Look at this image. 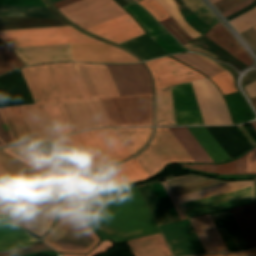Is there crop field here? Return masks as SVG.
<instances>
[{
	"instance_id": "crop-field-6",
	"label": "crop field",
	"mask_w": 256,
	"mask_h": 256,
	"mask_svg": "<svg viewBox=\"0 0 256 256\" xmlns=\"http://www.w3.org/2000/svg\"><path fill=\"white\" fill-rule=\"evenodd\" d=\"M232 158L251 148L234 127H206ZM205 127L188 128L214 163L232 159Z\"/></svg>"
},
{
	"instance_id": "crop-field-20",
	"label": "crop field",
	"mask_w": 256,
	"mask_h": 256,
	"mask_svg": "<svg viewBox=\"0 0 256 256\" xmlns=\"http://www.w3.org/2000/svg\"><path fill=\"white\" fill-rule=\"evenodd\" d=\"M87 30L117 44L144 34L143 30L128 14Z\"/></svg>"
},
{
	"instance_id": "crop-field-58",
	"label": "crop field",
	"mask_w": 256,
	"mask_h": 256,
	"mask_svg": "<svg viewBox=\"0 0 256 256\" xmlns=\"http://www.w3.org/2000/svg\"><path fill=\"white\" fill-rule=\"evenodd\" d=\"M162 184H163V186H164V188H165V190H166V192H167V194H168L170 200L172 201V203H173V205H174V207H175V209H176V211H177V213H178L180 219H184L185 216H184V214H183V212H182L180 206L178 205V203H177L175 197L173 196V194H172V192H171V190H170V188H169V186H168L166 180L162 181Z\"/></svg>"
},
{
	"instance_id": "crop-field-17",
	"label": "crop field",
	"mask_w": 256,
	"mask_h": 256,
	"mask_svg": "<svg viewBox=\"0 0 256 256\" xmlns=\"http://www.w3.org/2000/svg\"><path fill=\"white\" fill-rule=\"evenodd\" d=\"M174 256L205 252L189 219L160 227Z\"/></svg>"
},
{
	"instance_id": "crop-field-28",
	"label": "crop field",
	"mask_w": 256,
	"mask_h": 256,
	"mask_svg": "<svg viewBox=\"0 0 256 256\" xmlns=\"http://www.w3.org/2000/svg\"><path fill=\"white\" fill-rule=\"evenodd\" d=\"M249 248L256 246V206L255 204L230 210Z\"/></svg>"
},
{
	"instance_id": "crop-field-2",
	"label": "crop field",
	"mask_w": 256,
	"mask_h": 256,
	"mask_svg": "<svg viewBox=\"0 0 256 256\" xmlns=\"http://www.w3.org/2000/svg\"><path fill=\"white\" fill-rule=\"evenodd\" d=\"M114 187L103 170L92 172L75 182L65 194L57 225L43 241L57 252L86 254L99 238L74 211L75 203L90 194Z\"/></svg>"
},
{
	"instance_id": "crop-field-63",
	"label": "crop field",
	"mask_w": 256,
	"mask_h": 256,
	"mask_svg": "<svg viewBox=\"0 0 256 256\" xmlns=\"http://www.w3.org/2000/svg\"><path fill=\"white\" fill-rule=\"evenodd\" d=\"M244 89L251 94L249 95L250 99L256 97V81L244 86Z\"/></svg>"
},
{
	"instance_id": "crop-field-12",
	"label": "crop field",
	"mask_w": 256,
	"mask_h": 256,
	"mask_svg": "<svg viewBox=\"0 0 256 256\" xmlns=\"http://www.w3.org/2000/svg\"><path fill=\"white\" fill-rule=\"evenodd\" d=\"M205 125L232 124L225 103L207 79L191 82Z\"/></svg>"
},
{
	"instance_id": "crop-field-7",
	"label": "crop field",
	"mask_w": 256,
	"mask_h": 256,
	"mask_svg": "<svg viewBox=\"0 0 256 256\" xmlns=\"http://www.w3.org/2000/svg\"><path fill=\"white\" fill-rule=\"evenodd\" d=\"M135 159L149 177L159 172L166 164L194 163L168 128H157L152 144Z\"/></svg>"
},
{
	"instance_id": "crop-field-29",
	"label": "crop field",
	"mask_w": 256,
	"mask_h": 256,
	"mask_svg": "<svg viewBox=\"0 0 256 256\" xmlns=\"http://www.w3.org/2000/svg\"><path fill=\"white\" fill-rule=\"evenodd\" d=\"M104 171L115 186L148 178L135 159L121 165L106 168Z\"/></svg>"
},
{
	"instance_id": "crop-field-33",
	"label": "crop field",
	"mask_w": 256,
	"mask_h": 256,
	"mask_svg": "<svg viewBox=\"0 0 256 256\" xmlns=\"http://www.w3.org/2000/svg\"><path fill=\"white\" fill-rule=\"evenodd\" d=\"M152 128H120L114 129L131 155L140 150L148 141Z\"/></svg>"
},
{
	"instance_id": "crop-field-66",
	"label": "crop field",
	"mask_w": 256,
	"mask_h": 256,
	"mask_svg": "<svg viewBox=\"0 0 256 256\" xmlns=\"http://www.w3.org/2000/svg\"><path fill=\"white\" fill-rule=\"evenodd\" d=\"M237 174H245L244 156L237 160Z\"/></svg>"
},
{
	"instance_id": "crop-field-53",
	"label": "crop field",
	"mask_w": 256,
	"mask_h": 256,
	"mask_svg": "<svg viewBox=\"0 0 256 256\" xmlns=\"http://www.w3.org/2000/svg\"><path fill=\"white\" fill-rule=\"evenodd\" d=\"M41 251H54L53 249L49 248L48 246L39 243L35 246H32L30 248L21 250V251H16V252H9V253H3L0 254V256H22L28 253H32V252H41Z\"/></svg>"
},
{
	"instance_id": "crop-field-9",
	"label": "crop field",
	"mask_w": 256,
	"mask_h": 256,
	"mask_svg": "<svg viewBox=\"0 0 256 256\" xmlns=\"http://www.w3.org/2000/svg\"><path fill=\"white\" fill-rule=\"evenodd\" d=\"M102 167L130 155L113 129H100L73 135Z\"/></svg>"
},
{
	"instance_id": "crop-field-70",
	"label": "crop field",
	"mask_w": 256,
	"mask_h": 256,
	"mask_svg": "<svg viewBox=\"0 0 256 256\" xmlns=\"http://www.w3.org/2000/svg\"><path fill=\"white\" fill-rule=\"evenodd\" d=\"M252 103L254 104L255 108H256V98L252 99Z\"/></svg>"
},
{
	"instance_id": "crop-field-75",
	"label": "crop field",
	"mask_w": 256,
	"mask_h": 256,
	"mask_svg": "<svg viewBox=\"0 0 256 256\" xmlns=\"http://www.w3.org/2000/svg\"><path fill=\"white\" fill-rule=\"evenodd\" d=\"M2 45H4V44H3L2 41L0 40V46H2Z\"/></svg>"
},
{
	"instance_id": "crop-field-43",
	"label": "crop field",
	"mask_w": 256,
	"mask_h": 256,
	"mask_svg": "<svg viewBox=\"0 0 256 256\" xmlns=\"http://www.w3.org/2000/svg\"><path fill=\"white\" fill-rule=\"evenodd\" d=\"M24 66L6 47H0V74Z\"/></svg>"
},
{
	"instance_id": "crop-field-74",
	"label": "crop field",
	"mask_w": 256,
	"mask_h": 256,
	"mask_svg": "<svg viewBox=\"0 0 256 256\" xmlns=\"http://www.w3.org/2000/svg\"><path fill=\"white\" fill-rule=\"evenodd\" d=\"M129 4L134 2L133 0H126Z\"/></svg>"
},
{
	"instance_id": "crop-field-80",
	"label": "crop field",
	"mask_w": 256,
	"mask_h": 256,
	"mask_svg": "<svg viewBox=\"0 0 256 256\" xmlns=\"http://www.w3.org/2000/svg\"><path fill=\"white\" fill-rule=\"evenodd\" d=\"M135 1H137V0H135Z\"/></svg>"
},
{
	"instance_id": "crop-field-61",
	"label": "crop field",
	"mask_w": 256,
	"mask_h": 256,
	"mask_svg": "<svg viewBox=\"0 0 256 256\" xmlns=\"http://www.w3.org/2000/svg\"><path fill=\"white\" fill-rule=\"evenodd\" d=\"M253 1H255V0H246L245 2H243V3H241V4L237 5V6H235L234 8H232V9H230V10H228V11L222 13V14H223V16H224V18H225V17H227V16L233 14L234 12L240 10L241 8H243V7L247 6V5H249V4L252 3Z\"/></svg>"
},
{
	"instance_id": "crop-field-22",
	"label": "crop field",
	"mask_w": 256,
	"mask_h": 256,
	"mask_svg": "<svg viewBox=\"0 0 256 256\" xmlns=\"http://www.w3.org/2000/svg\"><path fill=\"white\" fill-rule=\"evenodd\" d=\"M27 66L50 61H72L70 45L11 49Z\"/></svg>"
},
{
	"instance_id": "crop-field-35",
	"label": "crop field",
	"mask_w": 256,
	"mask_h": 256,
	"mask_svg": "<svg viewBox=\"0 0 256 256\" xmlns=\"http://www.w3.org/2000/svg\"><path fill=\"white\" fill-rule=\"evenodd\" d=\"M172 56L177 60L199 70L209 79L225 71L215 62L197 54H176Z\"/></svg>"
},
{
	"instance_id": "crop-field-54",
	"label": "crop field",
	"mask_w": 256,
	"mask_h": 256,
	"mask_svg": "<svg viewBox=\"0 0 256 256\" xmlns=\"http://www.w3.org/2000/svg\"><path fill=\"white\" fill-rule=\"evenodd\" d=\"M246 174H256V149L245 155Z\"/></svg>"
},
{
	"instance_id": "crop-field-76",
	"label": "crop field",
	"mask_w": 256,
	"mask_h": 256,
	"mask_svg": "<svg viewBox=\"0 0 256 256\" xmlns=\"http://www.w3.org/2000/svg\"><path fill=\"white\" fill-rule=\"evenodd\" d=\"M255 193H256V182H255Z\"/></svg>"
},
{
	"instance_id": "crop-field-78",
	"label": "crop field",
	"mask_w": 256,
	"mask_h": 256,
	"mask_svg": "<svg viewBox=\"0 0 256 256\" xmlns=\"http://www.w3.org/2000/svg\"><path fill=\"white\" fill-rule=\"evenodd\" d=\"M175 1V0H174ZM176 2V1H175ZM177 3V2H176ZM178 5V4H177ZM178 7H179V5H178Z\"/></svg>"
},
{
	"instance_id": "crop-field-71",
	"label": "crop field",
	"mask_w": 256,
	"mask_h": 256,
	"mask_svg": "<svg viewBox=\"0 0 256 256\" xmlns=\"http://www.w3.org/2000/svg\"><path fill=\"white\" fill-rule=\"evenodd\" d=\"M204 256H223L222 254H215V255H204Z\"/></svg>"
},
{
	"instance_id": "crop-field-52",
	"label": "crop field",
	"mask_w": 256,
	"mask_h": 256,
	"mask_svg": "<svg viewBox=\"0 0 256 256\" xmlns=\"http://www.w3.org/2000/svg\"><path fill=\"white\" fill-rule=\"evenodd\" d=\"M205 179L206 178L197 177L193 175H184V176L176 177L173 179H168L167 182L170 188H173V187H177V186H181V185H185V184H189V183H193V182H197Z\"/></svg>"
},
{
	"instance_id": "crop-field-16",
	"label": "crop field",
	"mask_w": 256,
	"mask_h": 256,
	"mask_svg": "<svg viewBox=\"0 0 256 256\" xmlns=\"http://www.w3.org/2000/svg\"><path fill=\"white\" fill-rule=\"evenodd\" d=\"M17 160L23 162L36 171L68 184L74 177L63 170L60 166L46 157L32 145L18 146L1 149Z\"/></svg>"
},
{
	"instance_id": "crop-field-8",
	"label": "crop field",
	"mask_w": 256,
	"mask_h": 256,
	"mask_svg": "<svg viewBox=\"0 0 256 256\" xmlns=\"http://www.w3.org/2000/svg\"><path fill=\"white\" fill-rule=\"evenodd\" d=\"M101 100L113 126L152 125L151 94Z\"/></svg>"
},
{
	"instance_id": "crop-field-72",
	"label": "crop field",
	"mask_w": 256,
	"mask_h": 256,
	"mask_svg": "<svg viewBox=\"0 0 256 256\" xmlns=\"http://www.w3.org/2000/svg\"><path fill=\"white\" fill-rule=\"evenodd\" d=\"M251 124H252V126L254 127V129L256 130V121L253 122V123H251Z\"/></svg>"
},
{
	"instance_id": "crop-field-10",
	"label": "crop field",
	"mask_w": 256,
	"mask_h": 256,
	"mask_svg": "<svg viewBox=\"0 0 256 256\" xmlns=\"http://www.w3.org/2000/svg\"><path fill=\"white\" fill-rule=\"evenodd\" d=\"M60 11L85 29L126 14L113 0H82Z\"/></svg>"
},
{
	"instance_id": "crop-field-4",
	"label": "crop field",
	"mask_w": 256,
	"mask_h": 256,
	"mask_svg": "<svg viewBox=\"0 0 256 256\" xmlns=\"http://www.w3.org/2000/svg\"><path fill=\"white\" fill-rule=\"evenodd\" d=\"M0 0V7L38 8L14 9L0 8V30L72 26L64 21L44 0Z\"/></svg>"
},
{
	"instance_id": "crop-field-24",
	"label": "crop field",
	"mask_w": 256,
	"mask_h": 256,
	"mask_svg": "<svg viewBox=\"0 0 256 256\" xmlns=\"http://www.w3.org/2000/svg\"><path fill=\"white\" fill-rule=\"evenodd\" d=\"M19 108L35 142L57 137L42 104Z\"/></svg>"
},
{
	"instance_id": "crop-field-46",
	"label": "crop field",
	"mask_w": 256,
	"mask_h": 256,
	"mask_svg": "<svg viewBox=\"0 0 256 256\" xmlns=\"http://www.w3.org/2000/svg\"><path fill=\"white\" fill-rule=\"evenodd\" d=\"M168 54L186 51L176 40H174L168 33L153 38ZM158 45V46H159Z\"/></svg>"
},
{
	"instance_id": "crop-field-3",
	"label": "crop field",
	"mask_w": 256,
	"mask_h": 256,
	"mask_svg": "<svg viewBox=\"0 0 256 256\" xmlns=\"http://www.w3.org/2000/svg\"><path fill=\"white\" fill-rule=\"evenodd\" d=\"M36 104L91 99L74 63L21 69Z\"/></svg>"
},
{
	"instance_id": "crop-field-37",
	"label": "crop field",
	"mask_w": 256,
	"mask_h": 256,
	"mask_svg": "<svg viewBox=\"0 0 256 256\" xmlns=\"http://www.w3.org/2000/svg\"><path fill=\"white\" fill-rule=\"evenodd\" d=\"M120 45H123L133 50L134 52L138 53L141 57H143L145 60L165 55L152 43V41L148 38L146 34L134 38L125 43H122Z\"/></svg>"
},
{
	"instance_id": "crop-field-41",
	"label": "crop field",
	"mask_w": 256,
	"mask_h": 256,
	"mask_svg": "<svg viewBox=\"0 0 256 256\" xmlns=\"http://www.w3.org/2000/svg\"><path fill=\"white\" fill-rule=\"evenodd\" d=\"M182 2L201 20L207 23L209 26H213L218 21L209 12L200 0H182Z\"/></svg>"
},
{
	"instance_id": "crop-field-38",
	"label": "crop field",
	"mask_w": 256,
	"mask_h": 256,
	"mask_svg": "<svg viewBox=\"0 0 256 256\" xmlns=\"http://www.w3.org/2000/svg\"><path fill=\"white\" fill-rule=\"evenodd\" d=\"M157 225L169 223L170 220L156 196L151 184L138 186Z\"/></svg>"
},
{
	"instance_id": "crop-field-65",
	"label": "crop field",
	"mask_w": 256,
	"mask_h": 256,
	"mask_svg": "<svg viewBox=\"0 0 256 256\" xmlns=\"http://www.w3.org/2000/svg\"><path fill=\"white\" fill-rule=\"evenodd\" d=\"M226 256H256V248L249 251H244L240 253H230L226 254Z\"/></svg>"
},
{
	"instance_id": "crop-field-39",
	"label": "crop field",
	"mask_w": 256,
	"mask_h": 256,
	"mask_svg": "<svg viewBox=\"0 0 256 256\" xmlns=\"http://www.w3.org/2000/svg\"><path fill=\"white\" fill-rule=\"evenodd\" d=\"M51 120L57 136H63L72 133V129L64 114L60 103L43 104Z\"/></svg>"
},
{
	"instance_id": "crop-field-64",
	"label": "crop field",
	"mask_w": 256,
	"mask_h": 256,
	"mask_svg": "<svg viewBox=\"0 0 256 256\" xmlns=\"http://www.w3.org/2000/svg\"><path fill=\"white\" fill-rule=\"evenodd\" d=\"M11 197L12 196L9 194V192L0 183V201L2 202V204Z\"/></svg>"
},
{
	"instance_id": "crop-field-69",
	"label": "crop field",
	"mask_w": 256,
	"mask_h": 256,
	"mask_svg": "<svg viewBox=\"0 0 256 256\" xmlns=\"http://www.w3.org/2000/svg\"><path fill=\"white\" fill-rule=\"evenodd\" d=\"M0 214H6V212L3 210V208L0 205Z\"/></svg>"
},
{
	"instance_id": "crop-field-26",
	"label": "crop field",
	"mask_w": 256,
	"mask_h": 256,
	"mask_svg": "<svg viewBox=\"0 0 256 256\" xmlns=\"http://www.w3.org/2000/svg\"><path fill=\"white\" fill-rule=\"evenodd\" d=\"M190 221L206 252L228 251L210 214L191 218Z\"/></svg>"
},
{
	"instance_id": "crop-field-23",
	"label": "crop field",
	"mask_w": 256,
	"mask_h": 256,
	"mask_svg": "<svg viewBox=\"0 0 256 256\" xmlns=\"http://www.w3.org/2000/svg\"><path fill=\"white\" fill-rule=\"evenodd\" d=\"M52 143L79 174L100 167L72 135Z\"/></svg>"
},
{
	"instance_id": "crop-field-27",
	"label": "crop field",
	"mask_w": 256,
	"mask_h": 256,
	"mask_svg": "<svg viewBox=\"0 0 256 256\" xmlns=\"http://www.w3.org/2000/svg\"><path fill=\"white\" fill-rule=\"evenodd\" d=\"M205 36L243 62L245 65L248 66L252 64L250 56L220 23L212 27Z\"/></svg>"
},
{
	"instance_id": "crop-field-15",
	"label": "crop field",
	"mask_w": 256,
	"mask_h": 256,
	"mask_svg": "<svg viewBox=\"0 0 256 256\" xmlns=\"http://www.w3.org/2000/svg\"><path fill=\"white\" fill-rule=\"evenodd\" d=\"M144 63L154 77L155 89L205 78L198 72L169 57Z\"/></svg>"
},
{
	"instance_id": "crop-field-18",
	"label": "crop field",
	"mask_w": 256,
	"mask_h": 256,
	"mask_svg": "<svg viewBox=\"0 0 256 256\" xmlns=\"http://www.w3.org/2000/svg\"><path fill=\"white\" fill-rule=\"evenodd\" d=\"M176 125H204L191 83L171 87Z\"/></svg>"
},
{
	"instance_id": "crop-field-21",
	"label": "crop field",
	"mask_w": 256,
	"mask_h": 256,
	"mask_svg": "<svg viewBox=\"0 0 256 256\" xmlns=\"http://www.w3.org/2000/svg\"><path fill=\"white\" fill-rule=\"evenodd\" d=\"M73 61L137 62L111 45H71Z\"/></svg>"
},
{
	"instance_id": "crop-field-79",
	"label": "crop field",
	"mask_w": 256,
	"mask_h": 256,
	"mask_svg": "<svg viewBox=\"0 0 256 256\" xmlns=\"http://www.w3.org/2000/svg\"><path fill=\"white\" fill-rule=\"evenodd\" d=\"M256 29V27H254Z\"/></svg>"
},
{
	"instance_id": "crop-field-56",
	"label": "crop field",
	"mask_w": 256,
	"mask_h": 256,
	"mask_svg": "<svg viewBox=\"0 0 256 256\" xmlns=\"http://www.w3.org/2000/svg\"><path fill=\"white\" fill-rule=\"evenodd\" d=\"M113 246L112 242L109 240H105L101 242L89 255L87 256H97L105 253ZM63 256H77V255H65L61 254Z\"/></svg>"
},
{
	"instance_id": "crop-field-49",
	"label": "crop field",
	"mask_w": 256,
	"mask_h": 256,
	"mask_svg": "<svg viewBox=\"0 0 256 256\" xmlns=\"http://www.w3.org/2000/svg\"><path fill=\"white\" fill-rule=\"evenodd\" d=\"M17 144L0 109V147Z\"/></svg>"
},
{
	"instance_id": "crop-field-50",
	"label": "crop field",
	"mask_w": 256,
	"mask_h": 256,
	"mask_svg": "<svg viewBox=\"0 0 256 256\" xmlns=\"http://www.w3.org/2000/svg\"><path fill=\"white\" fill-rule=\"evenodd\" d=\"M180 32L182 33L185 37H187L190 41L194 40L192 39L189 35H187L183 29L179 26V24L171 17L163 22L161 24L182 44L188 43V41L174 28L171 26V24Z\"/></svg>"
},
{
	"instance_id": "crop-field-13",
	"label": "crop field",
	"mask_w": 256,
	"mask_h": 256,
	"mask_svg": "<svg viewBox=\"0 0 256 256\" xmlns=\"http://www.w3.org/2000/svg\"><path fill=\"white\" fill-rule=\"evenodd\" d=\"M253 202V186L201 198L180 206L186 218Z\"/></svg>"
},
{
	"instance_id": "crop-field-19",
	"label": "crop field",
	"mask_w": 256,
	"mask_h": 256,
	"mask_svg": "<svg viewBox=\"0 0 256 256\" xmlns=\"http://www.w3.org/2000/svg\"><path fill=\"white\" fill-rule=\"evenodd\" d=\"M75 64L92 99L119 96L105 65Z\"/></svg>"
},
{
	"instance_id": "crop-field-1",
	"label": "crop field",
	"mask_w": 256,
	"mask_h": 256,
	"mask_svg": "<svg viewBox=\"0 0 256 256\" xmlns=\"http://www.w3.org/2000/svg\"><path fill=\"white\" fill-rule=\"evenodd\" d=\"M89 224L115 243L160 233L136 186H127L94 199L83 207Z\"/></svg>"
},
{
	"instance_id": "crop-field-30",
	"label": "crop field",
	"mask_w": 256,
	"mask_h": 256,
	"mask_svg": "<svg viewBox=\"0 0 256 256\" xmlns=\"http://www.w3.org/2000/svg\"><path fill=\"white\" fill-rule=\"evenodd\" d=\"M135 256H172L161 234L127 242Z\"/></svg>"
},
{
	"instance_id": "crop-field-57",
	"label": "crop field",
	"mask_w": 256,
	"mask_h": 256,
	"mask_svg": "<svg viewBox=\"0 0 256 256\" xmlns=\"http://www.w3.org/2000/svg\"><path fill=\"white\" fill-rule=\"evenodd\" d=\"M245 0H220L213 4L221 13Z\"/></svg>"
},
{
	"instance_id": "crop-field-60",
	"label": "crop field",
	"mask_w": 256,
	"mask_h": 256,
	"mask_svg": "<svg viewBox=\"0 0 256 256\" xmlns=\"http://www.w3.org/2000/svg\"><path fill=\"white\" fill-rule=\"evenodd\" d=\"M241 36L256 49V30L254 28L242 34Z\"/></svg>"
},
{
	"instance_id": "crop-field-42",
	"label": "crop field",
	"mask_w": 256,
	"mask_h": 256,
	"mask_svg": "<svg viewBox=\"0 0 256 256\" xmlns=\"http://www.w3.org/2000/svg\"><path fill=\"white\" fill-rule=\"evenodd\" d=\"M165 10L180 24V26L184 29L186 33H188L191 37L200 36V34L196 33L192 30L189 25L183 20L177 5L173 0H157Z\"/></svg>"
},
{
	"instance_id": "crop-field-34",
	"label": "crop field",
	"mask_w": 256,
	"mask_h": 256,
	"mask_svg": "<svg viewBox=\"0 0 256 256\" xmlns=\"http://www.w3.org/2000/svg\"><path fill=\"white\" fill-rule=\"evenodd\" d=\"M18 144L34 142L18 107L1 108Z\"/></svg>"
},
{
	"instance_id": "crop-field-5",
	"label": "crop field",
	"mask_w": 256,
	"mask_h": 256,
	"mask_svg": "<svg viewBox=\"0 0 256 256\" xmlns=\"http://www.w3.org/2000/svg\"><path fill=\"white\" fill-rule=\"evenodd\" d=\"M0 38L9 48L63 44H104L72 27L1 31Z\"/></svg>"
},
{
	"instance_id": "crop-field-40",
	"label": "crop field",
	"mask_w": 256,
	"mask_h": 256,
	"mask_svg": "<svg viewBox=\"0 0 256 256\" xmlns=\"http://www.w3.org/2000/svg\"><path fill=\"white\" fill-rule=\"evenodd\" d=\"M251 185H253V181L235 182V183H231V184H227V185H223V186H219V187H215V188H211V189H207L199 192L177 196L176 199L178 203H181V202H185V201H189V200H193L201 197H206V196H210V195H214V194H218L226 191H231V190H235V189H239V188H243Z\"/></svg>"
},
{
	"instance_id": "crop-field-55",
	"label": "crop field",
	"mask_w": 256,
	"mask_h": 256,
	"mask_svg": "<svg viewBox=\"0 0 256 256\" xmlns=\"http://www.w3.org/2000/svg\"><path fill=\"white\" fill-rule=\"evenodd\" d=\"M214 174H236V160L231 163L215 166Z\"/></svg>"
},
{
	"instance_id": "crop-field-62",
	"label": "crop field",
	"mask_w": 256,
	"mask_h": 256,
	"mask_svg": "<svg viewBox=\"0 0 256 256\" xmlns=\"http://www.w3.org/2000/svg\"><path fill=\"white\" fill-rule=\"evenodd\" d=\"M184 47H186L187 49H189L191 51H198V52L207 54V55H209L211 57H214L216 59L219 58V57H217V56H215V55H213V54H211V53H209V52H207V51H205V50H203V49H201V48H199V47H197V46H195V45H193L191 43H188V44L184 45Z\"/></svg>"
},
{
	"instance_id": "crop-field-48",
	"label": "crop field",
	"mask_w": 256,
	"mask_h": 256,
	"mask_svg": "<svg viewBox=\"0 0 256 256\" xmlns=\"http://www.w3.org/2000/svg\"><path fill=\"white\" fill-rule=\"evenodd\" d=\"M139 4L146 8L159 22L170 17L156 0H143Z\"/></svg>"
},
{
	"instance_id": "crop-field-67",
	"label": "crop field",
	"mask_w": 256,
	"mask_h": 256,
	"mask_svg": "<svg viewBox=\"0 0 256 256\" xmlns=\"http://www.w3.org/2000/svg\"><path fill=\"white\" fill-rule=\"evenodd\" d=\"M247 77L243 79L242 84L250 83L256 80V71H251L247 73Z\"/></svg>"
},
{
	"instance_id": "crop-field-31",
	"label": "crop field",
	"mask_w": 256,
	"mask_h": 256,
	"mask_svg": "<svg viewBox=\"0 0 256 256\" xmlns=\"http://www.w3.org/2000/svg\"><path fill=\"white\" fill-rule=\"evenodd\" d=\"M155 125H175L170 87L155 90Z\"/></svg>"
},
{
	"instance_id": "crop-field-32",
	"label": "crop field",
	"mask_w": 256,
	"mask_h": 256,
	"mask_svg": "<svg viewBox=\"0 0 256 256\" xmlns=\"http://www.w3.org/2000/svg\"><path fill=\"white\" fill-rule=\"evenodd\" d=\"M195 163H213L187 128H169Z\"/></svg>"
},
{
	"instance_id": "crop-field-73",
	"label": "crop field",
	"mask_w": 256,
	"mask_h": 256,
	"mask_svg": "<svg viewBox=\"0 0 256 256\" xmlns=\"http://www.w3.org/2000/svg\"><path fill=\"white\" fill-rule=\"evenodd\" d=\"M218 0H210V2L213 4L215 2H217Z\"/></svg>"
},
{
	"instance_id": "crop-field-77",
	"label": "crop field",
	"mask_w": 256,
	"mask_h": 256,
	"mask_svg": "<svg viewBox=\"0 0 256 256\" xmlns=\"http://www.w3.org/2000/svg\"><path fill=\"white\" fill-rule=\"evenodd\" d=\"M53 2L59 1V0H52Z\"/></svg>"
},
{
	"instance_id": "crop-field-68",
	"label": "crop field",
	"mask_w": 256,
	"mask_h": 256,
	"mask_svg": "<svg viewBox=\"0 0 256 256\" xmlns=\"http://www.w3.org/2000/svg\"><path fill=\"white\" fill-rule=\"evenodd\" d=\"M76 1H78V0H62L60 2L55 3L54 5L56 6L57 9H59L61 7H64L68 4H71V3L76 2Z\"/></svg>"
},
{
	"instance_id": "crop-field-59",
	"label": "crop field",
	"mask_w": 256,
	"mask_h": 256,
	"mask_svg": "<svg viewBox=\"0 0 256 256\" xmlns=\"http://www.w3.org/2000/svg\"><path fill=\"white\" fill-rule=\"evenodd\" d=\"M184 168L198 170L213 174L214 165H179Z\"/></svg>"
},
{
	"instance_id": "crop-field-25",
	"label": "crop field",
	"mask_w": 256,
	"mask_h": 256,
	"mask_svg": "<svg viewBox=\"0 0 256 256\" xmlns=\"http://www.w3.org/2000/svg\"><path fill=\"white\" fill-rule=\"evenodd\" d=\"M36 241L8 215H0V251L17 249Z\"/></svg>"
},
{
	"instance_id": "crop-field-44",
	"label": "crop field",
	"mask_w": 256,
	"mask_h": 256,
	"mask_svg": "<svg viewBox=\"0 0 256 256\" xmlns=\"http://www.w3.org/2000/svg\"><path fill=\"white\" fill-rule=\"evenodd\" d=\"M226 183H230V182L207 180L199 183H194L186 186L173 188L171 190L174 193V195L177 196V195H181V194H185V193H189V192H193L201 189H206V188H210V187H214V186H218Z\"/></svg>"
},
{
	"instance_id": "crop-field-45",
	"label": "crop field",
	"mask_w": 256,
	"mask_h": 256,
	"mask_svg": "<svg viewBox=\"0 0 256 256\" xmlns=\"http://www.w3.org/2000/svg\"><path fill=\"white\" fill-rule=\"evenodd\" d=\"M229 22L239 33L256 25V7Z\"/></svg>"
},
{
	"instance_id": "crop-field-51",
	"label": "crop field",
	"mask_w": 256,
	"mask_h": 256,
	"mask_svg": "<svg viewBox=\"0 0 256 256\" xmlns=\"http://www.w3.org/2000/svg\"><path fill=\"white\" fill-rule=\"evenodd\" d=\"M14 179V178H13ZM0 167V181L13 196L22 187Z\"/></svg>"
},
{
	"instance_id": "crop-field-47",
	"label": "crop field",
	"mask_w": 256,
	"mask_h": 256,
	"mask_svg": "<svg viewBox=\"0 0 256 256\" xmlns=\"http://www.w3.org/2000/svg\"><path fill=\"white\" fill-rule=\"evenodd\" d=\"M211 80L217 84V86L221 89L223 95L237 92V89L234 86L233 78L227 71L212 78Z\"/></svg>"
},
{
	"instance_id": "crop-field-11",
	"label": "crop field",
	"mask_w": 256,
	"mask_h": 256,
	"mask_svg": "<svg viewBox=\"0 0 256 256\" xmlns=\"http://www.w3.org/2000/svg\"><path fill=\"white\" fill-rule=\"evenodd\" d=\"M74 132L112 126L100 99L61 103Z\"/></svg>"
},
{
	"instance_id": "crop-field-14",
	"label": "crop field",
	"mask_w": 256,
	"mask_h": 256,
	"mask_svg": "<svg viewBox=\"0 0 256 256\" xmlns=\"http://www.w3.org/2000/svg\"><path fill=\"white\" fill-rule=\"evenodd\" d=\"M106 66L120 96L151 93L150 76L142 64Z\"/></svg>"
},
{
	"instance_id": "crop-field-36",
	"label": "crop field",
	"mask_w": 256,
	"mask_h": 256,
	"mask_svg": "<svg viewBox=\"0 0 256 256\" xmlns=\"http://www.w3.org/2000/svg\"><path fill=\"white\" fill-rule=\"evenodd\" d=\"M124 7L141 24L151 38L166 33V31L135 2Z\"/></svg>"
}]
</instances>
